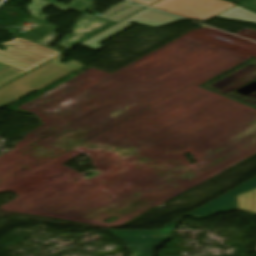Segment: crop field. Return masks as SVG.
Segmentation results:
<instances>
[{
    "label": "crop field",
    "instance_id": "8a807250",
    "mask_svg": "<svg viewBox=\"0 0 256 256\" xmlns=\"http://www.w3.org/2000/svg\"><path fill=\"white\" fill-rule=\"evenodd\" d=\"M253 188H256V178L186 216H191L195 219H204L218 213L238 210L236 195ZM180 219L159 230H105L103 232L114 234V237L120 239L128 247L132 256H153L155 247H159L173 239L174 230Z\"/></svg>",
    "mask_w": 256,
    "mask_h": 256
},
{
    "label": "crop field",
    "instance_id": "ac0d7876",
    "mask_svg": "<svg viewBox=\"0 0 256 256\" xmlns=\"http://www.w3.org/2000/svg\"><path fill=\"white\" fill-rule=\"evenodd\" d=\"M2 45L9 48L6 52L0 51V87L61 54L23 38H16Z\"/></svg>",
    "mask_w": 256,
    "mask_h": 256
},
{
    "label": "crop field",
    "instance_id": "34b2d1b8",
    "mask_svg": "<svg viewBox=\"0 0 256 256\" xmlns=\"http://www.w3.org/2000/svg\"><path fill=\"white\" fill-rule=\"evenodd\" d=\"M64 54L45 63L37 69L11 82L0 89V107L15 101L33 91L39 90L50 83L60 79L70 72L82 67L81 63L71 61L61 64L60 59ZM15 98V100H11Z\"/></svg>",
    "mask_w": 256,
    "mask_h": 256
},
{
    "label": "crop field",
    "instance_id": "412701ff",
    "mask_svg": "<svg viewBox=\"0 0 256 256\" xmlns=\"http://www.w3.org/2000/svg\"><path fill=\"white\" fill-rule=\"evenodd\" d=\"M232 6L220 0H163L151 7L184 18L206 21Z\"/></svg>",
    "mask_w": 256,
    "mask_h": 256
},
{
    "label": "crop field",
    "instance_id": "f4fd0767",
    "mask_svg": "<svg viewBox=\"0 0 256 256\" xmlns=\"http://www.w3.org/2000/svg\"><path fill=\"white\" fill-rule=\"evenodd\" d=\"M135 20L136 23L149 26V27H159L163 25H168L174 22L181 21L182 19L175 18L169 15H165L159 12H155L146 9L120 23L109 28L108 30L102 32L101 34L93 37L92 39L82 43L81 45L90 48L94 51L102 48L103 46L98 45L100 42L106 40L107 38L115 35L116 33L122 31L123 29L131 26L130 23Z\"/></svg>",
    "mask_w": 256,
    "mask_h": 256
},
{
    "label": "crop field",
    "instance_id": "dd49c442",
    "mask_svg": "<svg viewBox=\"0 0 256 256\" xmlns=\"http://www.w3.org/2000/svg\"><path fill=\"white\" fill-rule=\"evenodd\" d=\"M76 22L77 24L73 26V33H70L71 35H69L68 37L66 36L67 38H65L64 40L62 39L63 41L60 42L65 50L115 23L112 21L94 17L86 13H84ZM106 23L108 24L106 25ZM46 47L51 48L49 46ZM56 51L62 52L59 50Z\"/></svg>",
    "mask_w": 256,
    "mask_h": 256
},
{
    "label": "crop field",
    "instance_id": "e52e79f7",
    "mask_svg": "<svg viewBox=\"0 0 256 256\" xmlns=\"http://www.w3.org/2000/svg\"><path fill=\"white\" fill-rule=\"evenodd\" d=\"M56 30H57L56 27H53L46 23L41 27L33 30L23 38L30 40L36 44L45 46V45H49L53 39L58 37L57 35H55Z\"/></svg>",
    "mask_w": 256,
    "mask_h": 256
},
{
    "label": "crop field",
    "instance_id": "d8731c3e",
    "mask_svg": "<svg viewBox=\"0 0 256 256\" xmlns=\"http://www.w3.org/2000/svg\"><path fill=\"white\" fill-rule=\"evenodd\" d=\"M239 211L256 215V189L237 196Z\"/></svg>",
    "mask_w": 256,
    "mask_h": 256
},
{
    "label": "crop field",
    "instance_id": "5a996713",
    "mask_svg": "<svg viewBox=\"0 0 256 256\" xmlns=\"http://www.w3.org/2000/svg\"><path fill=\"white\" fill-rule=\"evenodd\" d=\"M50 5H53L63 11H65L69 8V7H64V6L52 3L47 0H32V2L30 4H28L27 11L32 13L33 14L32 16H34L38 19L44 20V19H47L48 16H46L40 12Z\"/></svg>",
    "mask_w": 256,
    "mask_h": 256
},
{
    "label": "crop field",
    "instance_id": "3316defc",
    "mask_svg": "<svg viewBox=\"0 0 256 256\" xmlns=\"http://www.w3.org/2000/svg\"><path fill=\"white\" fill-rule=\"evenodd\" d=\"M218 17L256 23V14L255 13L250 12V11L243 9L241 7H238V6L230 9L229 11L225 12L224 14H222Z\"/></svg>",
    "mask_w": 256,
    "mask_h": 256
},
{
    "label": "crop field",
    "instance_id": "28ad6ade",
    "mask_svg": "<svg viewBox=\"0 0 256 256\" xmlns=\"http://www.w3.org/2000/svg\"><path fill=\"white\" fill-rule=\"evenodd\" d=\"M89 3L90 1L88 0H74L67 6L77 9L79 11H82L89 6Z\"/></svg>",
    "mask_w": 256,
    "mask_h": 256
},
{
    "label": "crop field",
    "instance_id": "d1516ede",
    "mask_svg": "<svg viewBox=\"0 0 256 256\" xmlns=\"http://www.w3.org/2000/svg\"><path fill=\"white\" fill-rule=\"evenodd\" d=\"M241 4L256 11V0H247Z\"/></svg>",
    "mask_w": 256,
    "mask_h": 256
},
{
    "label": "crop field",
    "instance_id": "22f410ed",
    "mask_svg": "<svg viewBox=\"0 0 256 256\" xmlns=\"http://www.w3.org/2000/svg\"><path fill=\"white\" fill-rule=\"evenodd\" d=\"M134 1H138V2H140L142 4H145V5L149 6V5L155 3V2H157L159 0H134Z\"/></svg>",
    "mask_w": 256,
    "mask_h": 256
},
{
    "label": "crop field",
    "instance_id": "cbeb9de0",
    "mask_svg": "<svg viewBox=\"0 0 256 256\" xmlns=\"http://www.w3.org/2000/svg\"><path fill=\"white\" fill-rule=\"evenodd\" d=\"M232 1H236V2L240 3V2H242L244 0H232Z\"/></svg>",
    "mask_w": 256,
    "mask_h": 256
}]
</instances>
